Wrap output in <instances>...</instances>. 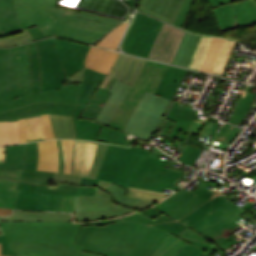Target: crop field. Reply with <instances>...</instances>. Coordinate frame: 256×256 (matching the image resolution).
Listing matches in <instances>:
<instances>
[{
    "mask_svg": "<svg viewBox=\"0 0 256 256\" xmlns=\"http://www.w3.org/2000/svg\"><path fill=\"white\" fill-rule=\"evenodd\" d=\"M112 185L113 183L100 181L95 196H75L74 221L83 222L114 218L137 211L114 203L111 195L106 193Z\"/></svg>",
    "mask_w": 256,
    "mask_h": 256,
    "instance_id": "d8731c3e",
    "label": "crop field"
},
{
    "mask_svg": "<svg viewBox=\"0 0 256 256\" xmlns=\"http://www.w3.org/2000/svg\"><path fill=\"white\" fill-rule=\"evenodd\" d=\"M145 160V157L142 158V160L140 161L139 165L137 166V168L135 169V171L133 172V174L131 175V177L128 179V181L126 182V184L124 185V188H127L130 180L132 179V177L134 176V174L136 173V171L138 170V168L140 167V165L142 164V162Z\"/></svg>",
    "mask_w": 256,
    "mask_h": 256,
    "instance_id": "fb207236",
    "label": "crop field"
},
{
    "mask_svg": "<svg viewBox=\"0 0 256 256\" xmlns=\"http://www.w3.org/2000/svg\"><path fill=\"white\" fill-rule=\"evenodd\" d=\"M212 37L200 35L198 44L187 65L188 68L198 69L210 43Z\"/></svg>",
    "mask_w": 256,
    "mask_h": 256,
    "instance_id": "425ffa30",
    "label": "crop field"
},
{
    "mask_svg": "<svg viewBox=\"0 0 256 256\" xmlns=\"http://www.w3.org/2000/svg\"><path fill=\"white\" fill-rule=\"evenodd\" d=\"M137 151L155 157L158 156V154L133 146H131V148H124L110 145L96 179L117 184Z\"/></svg>",
    "mask_w": 256,
    "mask_h": 256,
    "instance_id": "d9b57169",
    "label": "crop field"
},
{
    "mask_svg": "<svg viewBox=\"0 0 256 256\" xmlns=\"http://www.w3.org/2000/svg\"><path fill=\"white\" fill-rule=\"evenodd\" d=\"M30 41H34V38L30 34L29 30L26 29L17 35L0 38V47H9Z\"/></svg>",
    "mask_w": 256,
    "mask_h": 256,
    "instance_id": "89e229c0",
    "label": "crop field"
},
{
    "mask_svg": "<svg viewBox=\"0 0 256 256\" xmlns=\"http://www.w3.org/2000/svg\"><path fill=\"white\" fill-rule=\"evenodd\" d=\"M119 221H121L120 218L114 219V220H102V221H95V222L82 223V225L104 224V223L119 222Z\"/></svg>",
    "mask_w": 256,
    "mask_h": 256,
    "instance_id": "c3a83c6f",
    "label": "crop field"
},
{
    "mask_svg": "<svg viewBox=\"0 0 256 256\" xmlns=\"http://www.w3.org/2000/svg\"><path fill=\"white\" fill-rule=\"evenodd\" d=\"M169 233L139 222L82 226L75 243L82 251L110 256H153Z\"/></svg>",
    "mask_w": 256,
    "mask_h": 256,
    "instance_id": "ac0d7876",
    "label": "crop field"
},
{
    "mask_svg": "<svg viewBox=\"0 0 256 256\" xmlns=\"http://www.w3.org/2000/svg\"><path fill=\"white\" fill-rule=\"evenodd\" d=\"M52 17L57 19L52 34L89 43H93L114 27L113 25L54 12H52Z\"/></svg>",
    "mask_w": 256,
    "mask_h": 256,
    "instance_id": "d1516ede",
    "label": "crop field"
},
{
    "mask_svg": "<svg viewBox=\"0 0 256 256\" xmlns=\"http://www.w3.org/2000/svg\"><path fill=\"white\" fill-rule=\"evenodd\" d=\"M37 185L19 182L18 187L21 189L15 209L37 210L40 194L34 193Z\"/></svg>",
    "mask_w": 256,
    "mask_h": 256,
    "instance_id": "d32e631a",
    "label": "crop field"
},
{
    "mask_svg": "<svg viewBox=\"0 0 256 256\" xmlns=\"http://www.w3.org/2000/svg\"><path fill=\"white\" fill-rule=\"evenodd\" d=\"M81 223L73 222H0L5 231L11 256H104L81 252L74 244ZM204 251L172 236L154 256H200Z\"/></svg>",
    "mask_w": 256,
    "mask_h": 256,
    "instance_id": "8a807250",
    "label": "crop field"
},
{
    "mask_svg": "<svg viewBox=\"0 0 256 256\" xmlns=\"http://www.w3.org/2000/svg\"><path fill=\"white\" fill-rule=\"evenodd\" d=\"M54 173L43 172L35 192L45 193Z\"/></svg>",
    "mask_w": 256,
    "mask_h": 256,
    "instance_id": "0765c3eb",
    "label": "crop field"
},
{
    "mask_svg": "<svg viewBox=\"0 0 256 256\" xmlns=\"http://www.w3.org/2000/svg\"><path fill=\"white\" fill-rule=\"evenodd\" d=\"M1 221H72V214L14 211L13 215L9 217H1Z\"/></svg>",
    "mask_w": 256,
    "mask_h": 256,
    "instance_id": "d3111659",
    "label": "crop field"
},
{
    "mask_svg": "<svg viewBox=\"0 0 256 256\" xmlns=\"http://www.w3.org/2000/svg\"><path fill=\"white\" fill-rule=\"evenodd\" d=\"M227 197L219 193L205 200L195 195L167 215L200 234L239 208Z\"/></svg>",
    "mask_w": 256,
    "mask_h": 256,
    "instance_id": "f4fd0767",
    "label": "crop field"
},
{
    "mask_svg": "<svg viewBox=\"0 0 256 256\" xmlns=\"http://www.w3.org/2000/svg\"><path fill=\"white\" fill-rule=\"evenodd\" d=\"M98 183V180L83 177L76 195H94Z\"/></svg>",
    "mask_w": 256,
    "mask_h": 256,
    "instance_id": "9d1cf04e",
    "label": "crop field"
},
{
    "mask_svg": "<svg viewBox=\"0 0 256 256\" xmlns=\"http://www.w3.org/2000/svg\"><path fill=\"white\" fill-rule=\"evenodd\" d=\"M245 211L246 210L240 207L238 210L220 220L200 235L208 239L220 250H225L227 247L238 242L237 240L230 237L232 233L229 231L240 225L235 221H239L243 224L245 223V219L240 216Z\"/></svg>",
    "mask_w": 256,
    "mask_h": 256,
    "instance_id": "733c2abd",
    "label": "crop field"
},
{
    "mask_svg": "<svg viewBox=\"0 0 256 256\" xmlns=\"http://www.w3.org/2000/svg\"><path fill=\"white\" fill-rule=\"evenodd\" d=\"M128 22L118 25L113 31L104 36V39L97 45L115 50L126 30Z\"/></svg>",
    "mask_w": 256,
    "mask_h": 256,
    "instance_id": "25e5ab78",
    "label": "crop field"
},
{
    "mask_svg": "<svg viewBox=\"0 0 256 256\" xmlns=\"http://www.w3.org/2000/svg\"><path fill=\"white\" fill-rule=\"evenodd\" d=\"M129 88L130 85L116 79L109 91L112 93V95L107 100L95 121L108 125L115 112L117 111L121 101L127 94Z\"/></svg>",
    "mask_w": 256,
    "mask_h": 256,
    "instance_id": "00972430",
    "label": "crop field"
},
{
    "mask_svg": "<svg viewBox=\"0 0 256 256\" xmlns=\"http://www.w3.org/2000/svg\"><path fill=\"white\" fill-rule=\"evenodd\" d=\"M60 142H61V147H62V152H63L62 141L60 140ZM63 170H64V153H63ZM62 173H63V171H62Z\"/></svg>",
    "mask_w": 256,
    "mask_h": 256,
    "instance_id": "c821d689",
    "label": "crop field"
},
{
    "mask_svg": "<svg viewBox=\"0 0 256 256\" xmlns=\"http://www.w3.org/2000/svg\"><path fill=\"white\" fill-rule=\"evenodd\" d=\"M167 68V65L147 61L135 87H131L122 101L120 108L109 123V126L123 130L134 109L137 107L144 91L147 90L153 93Z\"/></svg>",
    "mask_w": 256,
    "mask_h": 256,
    "instance_id": "5a996713",
    "label": "crop field"
},
{
    "mask_svg": "<svg viewBox=\"0 0 256 256\" xmlns=\"http://www.w3.org/2000/svg\"><path fill=\"white\" fill-rule=\"evenodd\" d=\"M20 32L13 0H0V37Z\"/></svg>",
    "mask_w": 256,
    "mask_h": 256,
    "instance_id": "750c4746",
    "label": "crop field"
},
{
    "mask_svg": "<svg viewBox=\"0 0 256 256\" xmlns=\"http://www.w3.org/2000/svg\"><path fill=\"white\" fill-rule=\"evenodd\" d=\"M0 243H2L1 255H8V240L5 235L0 236Z\"/></svg>",
    "mask_w": 256,
    "mask_h": 256,
    "instance_id": "ae633e8c",
    "label": "crop field"
},
{
    "mask_svg": "<svg viewBox=\"0 0 256 256\" xmlns=\"http://www.w3.org/2000/svg\"><path fill=\"white\" fill-rule=\"evenodd\" d=\"M30 94L29 44L0 48V102Z\"/></svg>",
    "mask_w": 256,
    "mask_h": 256,
    "instance_id": "412701ff",
    "label": "crop field"
},
{
    "mask_svg": "<svg viewBox=\"0 0 256 256\" xmlns=\"http://www.w3.org/2000/svg\"><path fill=\"white\" fill-rule=\"evenodd\" d=\"M194 194L186 191L185 189H180L173 193L171 196H169L167 199L163 200L159 204L153 206L154 208L160 210L164 214L169 213L174 208L188 200L190 197H192Z\"/></svg>",
    "mask_w": 256,
    "mask_h": 256,
    "instance_id": "c035e120",
    "label": "crop field"
},
{
    "mask_svg": "<svg viewBox=\"0 0 256 256\" xmlns=\"http://www.w3.org/2000/svg\"><path fill=\"white\" fill-rule=\"evenodd\" d=\"M177 237L203 249L209 254L219 250L208 240L188 228L177 235Z\"/></svg>",
    "mask_w": 256,
    "mask_h": 256,
    "instance_id": "03da06ac",
    "label": "crop field"
},
{
    "mask_svg": "<svg viewBox=\"0 0 256 256\" xmlns=\"http://www.w3.org/2000/svg\"><path fill=\"white\" fill-rule=\"evenodd\" d=\"M105 74L96 72L90 69H86L83 81L80 96L77 103L75 115L79 117L80 113L90 100L93 93L99 87L102 80L105 78Z\"/></svg>",
    "mask_w": 256,
    "mask_h": 256,
    "instance_id": "eef30255",
    "label": "crop field"
},
{
    "mask_svg": "<svg viewBox=\"0 0 256 256\" xmlns=\"http://www.w3.org/2000/svg\"><path fill=\"white\" fill-rule=\"evenodd\" d=\"M168 103L169 100L145 91L123 131L149 140Z\"/></svg>",
    "mask_w": 256,
    "mask_h": 256,
    "instance_id": "3316defc",
    "label": "crop field"
},
{
    "mask_svg": "<svg viewBox=\"0 0 256 256\" xmlns=\"http://www.w3.org/2000/svg\"><path fill=\"white\" fill-rule=\"evenodd\" d=\"M169 25L164 23L148 58L172 62L184 31Z\"/></svg>",
    "mask_w": 256,
    "mask_h": 256,
    "instance_id": "4a817a6b",
    "label": "crop field"
},
{
    "mask_svg": "<svg viewBox=\"0 0 256 256\" xmlns=\"http://www.w3.org/2000/svg\"><path fill=\"white\" fill-rule=\"evenodd\" d=\"M51 9H52V11H55V12H61V13L76 15V16L89 18V19H93V20H97V21H101V22H105V23H109V24H113V25H116L121 21V20L114 19V18H104V17L92 15V14L86 13V12H82L81 14H78V13H74V12H71V11H63L61 9H56V8H53V7H51Z\"/></svg>",
    "mask_w": 256,
    "mask_h": 256,
    "instance_id": "1d79db26",
    "label": "crop field"
},
{
    "mask_svg": "<svg viewBox=\"0 0 256 256\" xmlns=\"http://www.w3.org/2000/svg\"><path fill=\"white\" fill-rule=\"evenodd\" d=\"M236 41L227 39L220 53L213 74L223 75Z\"/></svg>",
    "mask_w": 256,
    "mask_h": 256,
    "instance_id": "73cf0c24",
    "label": "crop field"
},
{
    "mask_svg": "<svg viewBox=\"0 0 256 256\" xmlns=\"http://www.w3.org/2000/svg\"><path fill=\"white\" fill-rule=\"evenodd\" d=\"M199 35H193L188 32H185L180 46L178 48L177 54L173 60V64H177L183 67H186L191 53L197 43Z\"/></svg>",
    "mask_w": 256,
    "mask_h": 256,
    "instance_id": "028f5c9d",
    "label": "crop field"
},
{
    "mask_svg": "<svg viewBox=\"0 0 256 256\" xmlns=\"http://www.w3.org/2000/svg\"><path fill=\"white\" fill-rule=\"evenodd\" d=\"M166 164V162L146 158L131 180L129 187L161 192H163L165 187L174 190L179 189L173 183L182 172L164 168Z\"/></svg>",
    "mask_w": 256,
    "mask_h": 256,
    "instance_id": "cbeb9de0",
    "label": "crop field"
},
{
    "mask_svg": "<svg viewBox=\"0 0 256 256\" xmlns=\"http://www.w3.org/2000/svg\"><path fill=\"white\" fill-rule=\"evenodd\" d=\"M138 155H142V156H145V157H150V158H155V157H152V156H149V155H145V154H142V153H139L137 152V154L135 155V157L132 159V161L130 162L128 168L126 169L125 173L123 174L121 180L123 179V177L125 176L126 172L128 171L129 167L131 166V164L134 162V160L137 158ZM155 159H159V158H155ZM159 160H162V161H166V162H170V163H174V162H171V161H167V160H163V159H159ZM177 164V163H175ZM121 180L119 181V183L121 182ZM118 183V185H119Z\"/></svg>",
    "mask_w": 256,
    "mask_h": 256,
    "instance_id": "c5b07064",
    "label": "crop field"
},
{
    "mask_svg": "<svg viewBox=\"0 0 256 256\" xmlns=\"http://www.w3.org/2000/svg\"><path fill=\"white\" fill-rule=\"evenodd\" d=\"M32 94L58 89L60 90L65 73L56 56L53 38L30 44Z\"/></svg>",
    "mask_w": 256,
    "mask_h": 256,
    "instance_id": "dd49c442",
    "label": "crop field"
},
{
    "mask_svg": "<svg viewBox=\"0 0 256 256\" xmlns=\"http://www.w3.org/2000/svg\"><path fill=\"white\" fill-rule=\"evenodd\" d=\"M77 139H96L103 125L74 117Z\"/></svg>",
    "mask_w": 256,
    "mask_h": 256,
    "instance_id": "c21b1889",
    "label": "crop field"
},
{
    "mask_svg": "<svg viewBox=\"0 0 256 256\" xmlns=\"http://www.w3.org/2000/svg\"><path fill=\"white\" fill-rule=\"evenodd\" d=\"M207 186L208 185L201 182L200 184H198L196 186L198 189L194 190L192 193L197 194V195H199V196H201L205 199L214 195V194H216V193H218L215 190H213V189H211Z\"/></svg>",
    "mask_w": 256,
    "mask_h": 256,
    "instance_id": "db79e9e6",
    "label": "crop field"
},
{
    "mask_svg": "<svg viewBox=\"0 0 256 256\" xmlns=\"http://www.w3.org/2000/svg\"><path fill=\"white\" fill-rule=\"evenodd\" d=\"M75 144H76V140H74V146H73V159H72V170H71V174H72V171H73V165H74Z\"/></svg>",
    "mask_w": 256,
    "mask_h": 256,
    "instance_id": "819c52e7",
    "label": "crop field"
},
{
    "mask_svg": "<svg viewBox=\"0 0 256 256\" xmlns=\"http://www.w3.org/2000/svg\"><path fill=\"white\" fill-rule=\"evenodd\" d=\"M97 144L96 142L77 140L73 174L88 176Z\"/></svg>",
    "mask_w": 256,
    "mask_h": 256,
    "instance_id": "4177f3b9",
    "label": "crop field"
},
{
    "mask_svg": "<svg viewBox=\"0 0 256 256\" xmlns=\"http://www.w3.org/2000/svg\"><path fill=\"white\" fill-rule=\"evenodd\" d=\"M58 141V147H59V154H60V166H59V173H61L62 170V152H61V147H60V142Z\"/></svg>",
    "mask_w": 256,
    "mask_h": 256,
    "instance_id": "7312dd0a",
    "label": "crop field"
},
{
    "mask_svg": "<svg viewBox=\"0 0 256 256\" xmlns=\"http://www.w3.org/2000/svg\"><path fill=\"white\" fill-rule=\"evenodd\" d=\"M115 79L113 78L111 83L108 85L106 89L98 88V90L95 92L85 109L83 110L82 114L80 117L90 119V120H95L97 114L101 110L100 107H98L99 103H105L108 97L110 96L109 93V88L113 84Z\"/></svg>",
    "mask_w": 256,
    "mask_h": 256,
    "instance_id": "e1f06a70",
    "label": "crop field"
},
{
    "mask_svg": "<svg viewBox=\"0 0 256 256\" xmlns=\"http://www.w3.org/2000/svg\"><path fill=\"white\" fill-rule=\"evenodd\" d=\"M0 249H1V244H0Z\"/></svg>",
    "mask_w": 256,
    "mask_h": 256,
    "instance_id": "8de936bc",
    "label": "crop field"
},
{
    "mask_svg": "<svg viewBox=\"0 0 256 256\" xmlns=\"http://www.w3.org/2000/svg\"><path fill=\"white\" fill-rule=\"evenodd\" d=\"M162 25L163 22L137 12L122 44L123 51L147 58Z\"/></svg>",
    "mask_w": 256,
    "mask_h": 256,
    "instance_id": "28ad6ade",
    "label": "crop field"
},
{
    "mask_svg": "<svg viewBox=\"0 0 256 256\" xmlns=\"http://www.w3.org/2000/svg\"><path fill=\"white\" fill-rule=\"evenodd\" d=\"M2 234H5L4 232L3 233H0V235H2Z\"/></svg>",
    "mask_w": 256,
    "mask_h": 256,
    "instance_id": "a0ae1fb6",
    "label": "crop field"
},
{
    "mask_svg": "<svg viewBox=\"0 0 256 256\" xmlns=\"http://www.w3.org/2000/svg\"><path fill=\"white\" fill-rule=\"evenodd\" d=\"M201 152L202 149L186 145L178 160L186 165L193 166Z\"/></svg>",
    "mask_w": 256,
    "mask_h": 256,
    "instance_id": "0fb4a251",
    "label": "crop field"
},
{
    "mask_svg": "<svg viewBox=\"0 0 256 256\" xmlns=\"http://www.w3.org/2000/svg\"><path fill=\"white\" fill-rule=\"evenodd\" d=\"M160 216V215H159ZM123 220H133V221H139L145 224L156 226L162 230H165L173 235H177L182 230H184V225L178 223L177 221L170 219L167 215H161L157 219L153 220L139 212L132 214L130 216L122 218Z\"/></svg>",
    "mask_w": 256,
    "mask_h": 256,
    "instance_id": "bd1437ed",
    "label": "crop field"
},
{
    "mask_svg": "<svg viewBox=\"0 0 256 256\" xmlns=\"http://www.w3.org/2000/svg\"><path fill=\"white\" fill-rule=\"evenodd\" d=\"M224 41H225V39H222V38H216V37L212 38L210 46L206 53V56L201 64L199 70L207 72V73L212 72Z\"/></svg>",
    "mask_w": 256,
    "mask_h": 256,
    "instance_id": "b80d0937",
    "label": "crop field"
},
{
    "mask_svg": "<svg viewBox=\"0 0 256 256\" xmlns=\"http://www.w3.org/2000/svg\"><path fill=\"white\" fill-rule=\"evenodd\" d=\"M58 196L50 195L47 210L55 211Z\"/></svg>",
    "mask_w": 256,
    "mask_h": 256,
    "instance_id": "ade564c9",
    "label": "crop field"
},
{
    "mask_svg": "<svg viewBox=\"0 0 256 256\" xmlns=\"http://www.w3.org/2000/svg\"><path fill=\"white\" fill-rule=\"evenodd\" d=\"M38 148L37 170L58 172L59 155L56 140L38 142Z\"/></svg>",
    "mask_w": 256,
    "mask_h": 256,
    "instance_id": "ae1a2a85",
    "label": "crop field"
},
{
    "mask_svg": "<svg viewBox=\"0 0 256 256\" xmlns=\"http://www.w3.org/2000/svg\"><path fill=\"white\" fill-rule=\"evenodd\" d=\"M42 116H43L46 140L47 139L56 138L54 133H53V130H52V126H51V122H50V119H49V115L45 114V115H42Z\"/></svg>",
    "mask_w": 256,
    "mask_h": 256,
    "instance_id": "78b8030e",
    "label": "crop field"
},
{
    "mask_svg": "<svg viewBox=\"0 0 256 256\" xmlns=\"http://www.w3.org/2000/svg\"><path fill=\"white\" fill-rule=\"evenodd\" d=\"M182 1L183 0H140L138 10L172 24Z\"/></svg>",
    "mask_w": 256,
    "mask_h": 256,
    "instance_id": "92a150f3",
    "label": "crop field"
},
{
    "mask_svg": "<svg viewBox=\"0 0 256 256\" xmlns=\"http://www.w3.org/2000/svg\"><path fill=\"white\" fill-rule=\"evenodd\" d=\"M30 32L33 35V37L35 38V40H38L41 38H46V36L43 34V32L37 27L30 29Z\"/></svg>",
    "mask_w": 256,
    "mask_h": 256,
    "instance_id": "c39391a2",
    "label": "crop field"
},
{
    "mask_svg": "<svg viewBox=\"0 0 256 256\" xmlns=\"http://www.w3.org/2000/svg\"><path fill=\"white\" fill-rule=\"evenodd\" d=\"M108 193L112 194L115 203L123 206L133 207L138 210H141L143 208H146L157 203L149 200L126 197V190L115 184L111 187Z\"/></svg>",
    "mask_w": 256,
    "mask_h": 256,
    "instance_id": "5866460e",
    "label": "crop field"
},
{
    "mask_svg": "<svg viewBox=\"0 0 256 256\" xmlns=\"http://www.w3.org/2000/svg\"><path fill=\"white\" fill-rule=\"evenodd\" d=\"M251 89H252V86L248 85L246 90L244 91L241 99L239 100L237 106L235 107V109L228 121L229 123L237 125V126H240V124L242 123L243 118L246 115L248 108L251 106L252 100L254 98V95L249 93L251 91Z\"/></svg>",
    "mask_w": 256,
    "mask_h": 256,
    "instance_id": "0bd39190",
    "label": "crop field"
},
{
    "mask_svg": "<svg viewBox=\"0 0 256 256\" xmlns=\"http://www.w3.org/2000/svg\"><path fill=\"white\" fill-rule=\"evenodd\" d=\"M25 144L5 146V163H0V170L24 168Z\"/></svg>",
    "mask_w": 256,
    "mask_h": 256,
    "instance_id": "120bbe31",
    "label": "crop field"
},
{
    "mask_svg": "<svg viewBox=\"0 0 256 256\" xmlns=\"http://www.w3.org/2000/svg\"><path fill=\"white\" fill-rule=\"evenodd\" d=\"M127 196L150 199L154 201H160L168 196V194H164L161 192L156 191H149V190H141V189H134V188H127Z\"/></svg>",
    "mask_w": 256,
    "mask_h": 256,
    "instance_id": "1f2cbd36",
    "label": "crop field"
},
{
    "mask_svg": "<svg viewBox=\"0 0 256 256\" xmlns=\"http://www.w3.org/2000/svg\"><path fill=\"white\" fill-rule=\"evenodd\" d=\"M16 15L20 30L37 25L47 37L50 34L55 19L51 18L50 6L55 7L57 0H14Z\"/></svg>",
    "mask_w": 256,
    "mask_h": 256,
    "instance_id": "5142ce71",
    "label": "crop field"
},
{
    "mask_svg": "<svg viewBox=\"0 0 256 256\" xmlns=\"http://www.w3.org/2000/svg\"><path fill=\"white\" fill-rule=\"evenodd\" d=\"M145 63L146 60L119 54L109 76H106L100 87L106 88L112 77L118 78L121 81L134 86ZM117 72H119V74H117Z\"/></svg>",
    "mask_w": 256,
    "mask_h": 256,
    "instance_id": "214f88e0",
    "label": "crop field"
},
{
    "mask_svg": "<svg viewBox=\"0 0 256 256\" xmlns=\"http://www.w3.org/2000/svg\"><path fill=\"white\" fill-rule=\"evenodd\" d=\"M73 198H74V196H63L62 195L59 211L72 212Z\"/></svg>",
    "mask_w": 256,
    "mask_h": 256,
    "instance_id": "7b73153f",
    "label": "crop field"
},
{
    "mask_svg": "<svg viewBox=\"0 0 256 256\" xmlns=\"http://www.w3.org/2000/svg\"><path fill=\"white\" fill-rule=\"evenodd\" d=\"M20 143L26 142L24 118L18 120Z\"/></svg>",
    "mask_w": 256,
    "mask_h": 256,
    "instance_id": "0f1d7ab4",
    "label": "crop field"
},
{
    "mask_svg": "<svg viewBox=\"0 0 256 256\" xmlns=\"http://www.w3.org/2000/svg\"><path fill=\"white\" fill-rule=\"evenodd\" d=\"M85 69H86L85 67L80 69L79 72L72 75L68 80L75 81V82H81L82 78H83V75H84V72H85Z\"/></svg>",
    "mask_w": 256,
    "mask_h": 256,
    "instance_id": "d14b1444",
    "label": "crop field"
},
{
    "mask_svg": "<svg viewBox=\"0 0 256 256\" xmlns=\"http://www.w3.org/2000/svg\"><path fill=\"white\" fill-rule=\"evenodd\" d=\"M108 146L109 145H106V144H101V143L98 144V147H97V150L95 153V157H94V161H93V164H92V167H91L88 177L96 178V176L99 172L102 160L106 154Z\"/></svg>",
    "mask_w": 256,
    "mask_h": 256,
    "instance_id": "dbb93151",
    "label": "crop field"
},
{
    "mask_svg": "<svg viewBox=\"0 0 256 256\" xmlns=\"http://www.w3.org/2000/svg\"><path fill=\"white\" fill-rule=\"evenodd\" d=\"M54 39L57 55L64 66L66 78H68L70 75L76 73L80 68L84 67V58L90 46L58 38Z\"/></svg>",
    "mask_w": 256,
    "mask_h": 256,
    "instance_id": "bc2a9ffb",
    "label": "crop field"
},
{
    "mask_svg": "<svg viewBox=\"0 0 256 256\" xmlns=\"http://www.w3.org/2000/svg\"><path fill=\"white\" fill-rule=\"evenodd\" d=\"M125 137L126 134L104 125L96 141L130 146L134 138H132V140L129 141L124 139Z\"/></svg>",
    "mask_w": 256,
    "mask_h": 256,
    "instance_id": "b54c1fbb",
    "label": "crop field"
},
{
    "mask_svg": "<svg viewBox=\"0 0 256 256\" xmlns=\"http://www.w3.org/2000/svg\"><path fill=\"white\" fill-rule=\"evenodd\" d=\"M140 212L147 216H150L153 219L162 214L160 211L154 209L153 207H151L149 209L142 210Z\"/></svg>",
    "mask_w": 256,
    "mask_h": 256,
    "instance_id": "e1d0b9f6",
    "label": "crop field"
},
{
    "mask_svg": "<svg viewBox=\"0 0 256 256\" xmlns=\"http://www.w3.org/2000/svg\"><path fill=\"white\" fill-rule=\"evenodd\" d=\"M194 0H184L174 25L182 26ZM209 1L220 30L242 27L256 23L254 0H207ZM176 26V27H177Z\"/></svg>",
    "mask_w": 256,
    "mask_h": 256,
    "instance_id": "e52e79f7",
    "label": "crop field"
},
{
    "mask_svg": "<svg viewBox=\"0 0 256 256\" xmlns=\"http://www.w3.org/2000/svg\"><path fill=\"white\" fill-rule=\"evenodd\" d=\"M22 170L0 171V207L15 208L20 191L16 187Z\"/></svg>",
    "mask_w": 256,
    "mask_h": 256,
    "instance_id": "dafd665d",
    "label": "crop field"
},
{
    "mask_svg": "<svg viewBox=\"0 0 256 256\" xmlns=\"http://www.w3.org/2000/svg\"><path fill=\"white\" fill-rule=\"evenodd\" d=\"M142 158V156L139 158V160L137 161V163L135 164V166L133 167V169L131 170L130 174L128 175V177L126 178V180L124 181V183L122 184V187L123 185L125 184V182L127 181V179L130 177V175L132 174V172L134 171V169L136 168L137 164L139 163L140 159Z\"/></svg>",
    "mask_w": 256,
    "mask_h": 256,
    "instance_id": "1f1604b0",
    "label": "crop field"
},
{
    "mask_svg": "<svg viewBox=\"0 0 256 256\" xmlns=\"http://www.w3.org/2000/svg\"><path fill=\"white\" fill-rule=\"evenodd\" d=\"M27 142L45 140L42 116L25 118Z\"/></svg>",
    "mask_w": 256,
    "mask_h": 256,
    "instance_id": "5d738f31",
    "label": "crop field"
},
{
    "mask_svg": "<svg viewBox=\"0 0 256 256\" xmlns=\"http://www.w3.org/2000/svg\"><path fill=\"white\" fill-rule=\"evenodd\" d=\"M186 70L178 69L169 66L166 74L160 81L155 94L161 95L169 100H171L174 92L181 83ZM178 102H174L167 119L177 121L170 137L175 138L179 131L186 132L190 126L192 120L194 119L197 110H193L186 106L185 109L176 107Z\"/></svg>",
    "mask_w": 256,
    "mask_h": 256,
    "instance_id": "22f410ed",
    "label": "crop field"
},
{
    "mask_svg": "<svg viewBox=\"0 0 256 256\" xmlns=\"http://www.w3.org/2000/svg\"><path fill=\"white\" fill-rule=\"evenodd\" d=\"M82 177L55 173L46 193L59 195L57 209H59L61 194L75 195Z\"/></svg>",
    "mask_w": 256,
    "mask_h": 256,
    "instance_id": "730fd06b",
    "label": "crop field"
},
{
    "mask_svg": "<svg viewBox=\"0 0 256 256\" xmlns=\"http://www.w3.org/2000/svg\"><path fill=\"white\" fill-rule=\"evenodd\" d=\"M38 161L37 142L26 144L25 169L19 181H26L37 184L41 171H36Z\"/></svg>",
    "mask_w": 256,
    "mask_h": 256,
    "instance_id": "1d83c4d3",
    "label": "crop field"
},
{
    "mask_svg": "<svg viewBox=\"0 0 256 256\" xmlns=\"http://www.w3.org/2000/svg\"><path fill=\"white\" fill-rule=\"evenodd\" d=\"M19 143L17 120L0 122V145Z\"/></svg>",
    "mask_w": 256,
    "mask_h": 256,
    "instance_id": "d23c7cc5",
    "label": "crop field"
},
{
    "mask_svg": "<svg viewBox=\"0 0 256 256\" xmlns=\"http://www.w3.org/2000/svg\"><path fill=\"white\" fill-rule=\"evenodd\" d=\"M119 53L91 46L85 66L108 75Z\"/></svg>",
    "mask_w": 256,
    "mask_h": 256,
    "instance_id": "a9b5d70f",
    "label": "crop field"
},
{
    "mask_svg": "<svg viewBox=\"0 0 256 256\" xmlns=\"http://www.w3.org/2000/svg\"><path fill=\"white\" fill-rule=\"evenodd\" d=\"M0 162H4V146L0 147Z\"/></svg>",
    "mask_w": 256,
    "mask_h": 256,
    "instance_id": "f0312440",
    "label": "crop field"
},
{
    "mask_svg": "<svg viewBox=\"0 0 256 256\" xmlns=\"http://www.w3.org/2000/svg\"><path fill=\"white\" fill-rule=\"evenodd\" d=\"M62 141H63L64 153H65V171H64V173L70 174L73 140H62Z\"/></svg>",
    "mask_w": 256,
    "mask_h": 256,
    "instance_id": "447ae74e",
    "label": "crop field"
},
{
    "mask_svg": "<svg viewBox=\"0 0 256 256\" xmlns=\"http://www.w3.org/2000/svg\"><path fill=\"white\" fill-rule=\"evenodd\" d=\"M11 211L12 210H10V209H2V208H0V215H10Z\"/></svg>",
    "mask_w": 256,
    "mask_h": 256,
    "instance_id": "180be81f",
    "label": "crop field"
},
{
    "mask_svg": "<svg viewBox=\"0 0 256 256\" xmlns=\"http://www.w3.org/2000/svg\"><path fill=\"white\" fill-rule=\"evenodd\" d=\"M79 85H64L60 91H46L0 103V121L49 113L57 138L76 139L73 116Z\"/></svg>",
    "mask_w": 256,
    "mask_h": 256,
    "instance_id": "34b2d1b8",
    "label": "crop field"
}]
</instances>
